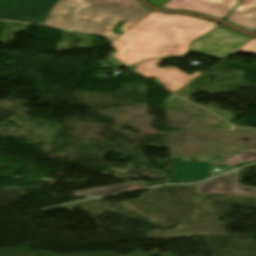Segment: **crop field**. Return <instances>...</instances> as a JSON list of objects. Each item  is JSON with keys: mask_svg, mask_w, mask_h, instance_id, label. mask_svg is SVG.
Masks as SVG:
<instances>
[{"mask_svg": "<svg viewBox=\"0 0 256 256\" xmlns=\"http://www.w3.org/2000/svg\"><path fill=\"white\" fill-rule=\"evenodd\" d=\"M226 193L256 197V188L238 185V170L196 185V194Z\"/></svg>", "mask_w": 256, "mask_h": 256, "instance_id": "d8731c3e", "label": "crop field"}, {"mask_svg": "<svg viewBox=\"0 0 256 256\" xmlns=\"http://www.w3.org/2000/svg\"><path fill=\"white\" fill-rule=\"evenodd\" d=\"M227 21L254 31L256 29V0H242Z\"/></svg>", "mask_w": 256, "mask_h": 256, "instance_id": "5a996713", "label": "crop field"}, {"mask_svg": "<svg viewBox=\"0 0 256 256\" xmlns=\"http://www.w3.org/2000/svg\"><path fill=\"white\" fill-rule=\"evenodd\" d=\"M155 6L161 7L169 0H150Z\"/></svg>", "mask_w": 256, "mask_h": 256, "instance_id": "22f410ed", "label": "crop field"}, {"mask_svg": "<svg viewBox=\"0 0 256 256\" xmlns=\"http://www.w3.org/2000/svg\"><path fill=\"white\" fill-rule=\"evenodd\" d=\"M151 11L145 9V8H140L139 10H137L135 13H133L132 15H130L129 17H127L123 24H122V28L121 33L124 32L126 29H128L129 27H131L132 25H134L136 22H138L139 20H141L142 18H144L146 15H148Z\"/></svg>", "mask_w": 256, "mask_h": 256, "instance_id": "28ad6ade", "label": "crop field"}, {"mask_svg": "<svg viewBox=\"0 0 256 256\" xmlns=\"http://www.w3.org/2000/svg\"><path fill=\"white\" fill-rule=\"evenodd\" d=\"M145 187L146 185L144 182H130V183L107 186V187L91 189V190H86L81 192H75L74 195L76 198L82 197V196H86L87 198H89V197H94L99 195H105V194L145 188Z\"/></svg>", "mask_w": 256, "mask_h": 256, "instance_id": "3316defc", "label": "crop field"}, {"mask_svg": "<svg viewBox=\"0 0 256 256\" xmlns=\"http://www.w3.org/2000/svg\"><path fill=\"white\" fill-rule=\"evenodd\" d=\"M237 52H244L256 55V39L252 38L250 41H248L245 45H243L241 48H239L232 54H235Z\"/></svg>", "mask_w": 256, "mask_h": 256, "instance_id": "d1516ede", "label": "crop field"}, {"mask_svg": "<svg viewBox=\"0 0 256 256\" xmlns=\"http://www.w3.org/2000/svg\"><path fill=\"white\" fill-rule=\"evenodd\" d=\"M239 0H170L163 8L190 10L224 20Z\"/></svg>", "mask_w": 256, "mask_h": 256, "instance_id": "e52e79f7", "label": "crop field"}, {"mask_svg": "<svg viewBox=\"0 0 256 256\" xmlns=\"http://www.w3.org/2000/svg\"><path fill=\"white\" fill-rule=\"evenodd\" d=\"M60 0H0V20L44 25Z\"/></svg>", "mask_w": 256, "mask_h": 256, "instance_id": "34b2d1b8", "label": "crop field"}, {"mask_svg": "<svg viewBox=\"0 0 256 256\" xmlns=\"http://www.w3.org/2000/svg\"><path fill=\"white\" fill-rule=\"evenodd\" d=\"M160 61L148 60L137 64L135 65L137 66L135 71L148 78L154 77L159 83L165 85L166 88L174 93L201 74V72L197 71L190 76L175 67L160 69L157 67Z\"/></svg>", "mask_w": 256, "mask_h": 256, "instance_id": "dd49c442", "label": "crop field"}, {"mask_svg": "<svg viewBox=\"0 0 256 256\" xmlns=\"http://www.w3.org/2000/svg\"><path fill=\"white\" fill-rule=\"evenodd\" d=\"M249 39L251 37L245 34L220 26L205 36L194 40L188 51L204 53L223 59Z\"/></svg>", "mask_w": 256, "mask_h": 256, "instance_id": "412701ff", "label": "crop field"}, {"mask_svg": "<svg viewBox=\"0 0 256 256\" xmlns=\"http://www.w3.org/2000/svg\"><path fill=\"white\" fill-rule=\"evenodd\" d=\"M140 7L136 0H61L46 25L91 33L111 41L119 35L111 29Z\"/></svg>", "mask_w": 256, "mask_h": 256, "instance_id": "ac0d7876", "label": "crop field"}, {"mask_svg": "<svg viewBox=\"0 0 256 256\" xmlns=\"http://www.w3.org/2000/svg\"><path fill=\"white\" fill-rule=\"evenodd\" d=\"M215 23L174 14L152 12L112 41L115 57L125 64L147 58L181 56L198 36Z\"/></svg>", "mask_w": 256, "mask_h": 256, "instance_id": "8a807250", "label": "crop field"}, {"mask_svg": "<svg viewBox=\"0 0 256 256\" xmlns=\"http://www.w3.org/2000/svg\"><path fill=\"white\" fill-rule=\"evenodd\" d=\"M226 162H186L183 158H172V170L174 181H197L212 174L211 164L238 165L245 161L256 160V152H240L239 156H225Z\"/></svg>", "mask_w": 256, "mask_h": 256, "instance_id": "f4fd0767", "label": "crop field"}, {"mask_svg": "<svg viewBox=\"0 0 256 256\" xmlns=\"http://www.w3.org/2000/svg\"><path fill=\"white\" fill-rule=\"evenodd\" d=\"M256 31V30H255Z\"/></svg>", "mask_w": 256, "mask_h": 256, "instance_id": "cbeb9de0", "label": "crop field"}]
</instances>
